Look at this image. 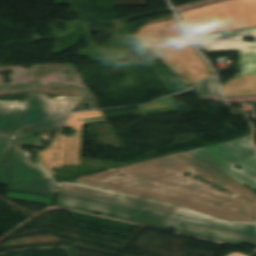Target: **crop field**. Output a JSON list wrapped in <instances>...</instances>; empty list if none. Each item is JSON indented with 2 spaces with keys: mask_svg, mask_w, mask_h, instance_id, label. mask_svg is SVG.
I'll return each mask as SVG.
<instances>
[{
  "mask_svg": "<svg viewBox=\"0 0 256 256\" xmlns=\"http://www.w3.org/2000/svg\"><path fill=\"white\" fill-rule=\"evenodd\" d=\"M55 205L85 211L89 213H99L102 214L103 216L118 218L153 227L175 229V232L214 239L238 246L245 244L256 247L255 237L225 231L221 229L211 228L207 226L171 220L149 214L83 201L79 199L69 198L65 196L58 195ZM182 223L185 224V226H181Z\"/></svg>",
  "mask_w": 256,
  "mask_h": 256,
  "instance_id": "f4fd0767",
  "label": "crop field"
},
{
  "mask_svg": "<svg viewBox=\"0 0 256 256\" xmlns=\"http://www.w3.org/2000/svg\"><path fill=\"white\" fill-rule=\"evenodd\" d=\"M190 37L256 27V0H228L179 13Z\"/></svg>",
  "mask_w": 256,
  "mask_h": 256,
  "instance_id": "e52e79f7",
  "label": "crop field"
},
{
  "mask_svg": "<svg viewBox=\"0 0 256 256\" xmlns=\"http://www.w3.org/2000/svg\"><path fill=\"white\" fill-rule=\"evenodd\" d=\"M7 198L10 199H18V200H25L43 204L51 205L53 203L54 197H47V196H37L31 194H24V193H17L8 191Z\"/></svg>",
  "mask_w": 256,
  "mask_h": 256,
  "instance_id": "cbeb9de0",
  "label": "crop field"
},
{
  "mask_svg": "<svg viewBox=\"0 0 256 256\" xmlns=\"http://www.w3.org/2000/svg\"><path fill=\"white\" fill-rule=\"evenodd\" d=\"M116 5H144V0H116Z\"/></svg>",
  "mask_w": 256,
  "mask_h": 256,
  "instance_id": "d9b57169",
  "label": "crop field"
},
{
  "mask_svg": "<svg viewBox=\"0 0 256 256\" xmlns=\"http://www.w3.org/2000/svg\"><path fill=\"white\" fill-rule=\"evenodd\" d=\"M224 145L228 147H225ZM201 150L234 169L249 180L239 176L240 174H236L234 171L223 166L200 150L190 151L239 183L247 185L252 189H256V150L250 140L246 138L236 139L227 143L201 148ZM252 162L254 164H252ZM236 165L243 167V169L238 170L233 168Z\"/></svg>",
  "mask_w": 256,
  "mask_h": 256,
  "instance_id": "d8731c3e",
  "label": "crop field"
},
{
  "mask_svg": "<svg viewBox=\"0 0 256 256\" xmlns=\"http://www.w3.org/2000/svg\"><path fill=\"white\" fill-rule=\"evenodd\" d=\"M116 173L115 171H119ZM191 175L183 177V173ZM125 175L120 177V175ZM199 176L233 196L191 177ZM77 183L175 204L222 220L256 224V194L186 152L77 179ZM156 188H151L150 186Z\"/></svg>",
  "mask_w": 256,
  "mask_h": 256,
  "instance_id": "8a807250",
  "label": "crop field"
},
{
  "mask_svg": "<svg viewBox=\"0 0 256 256\" xmlns=\"http://www.w3.org/2000/svg\"><path fill=\"white\" fill-rule=\"evenodd\" d=\"M11 137L12 136L0 135V184L4 185H7L8 183L11 164H5L2 163V161L4 160L14 140L17 139V137L10 139Z\"/></svg>",
  "mask_w": 256,
  "mask_h": 256,
  "instance_id": "d1516ede",
  "label": "crop field"
},
{
  "mask_svg": "<svg viewBox=\"0 0 256 256\" xmlns=\"http://www.w3.org/2000/svg\"><path fill=\"white\" fill-rule=\"evenodd\" d=\"M175 19V16H170V19L149 22L139 28L135 37L186 85L214 76L210 66L187 40Z\"/></svg>",
  "mask_w": 256,
  "mask_h": 256,
  "instance_id": "ac0d7876",
  "label": "crop field"
},
{
  "mask_svg": "<svg viewBox=\"0 0 256 256\" xmlns=\"http://www.w3.org/2000/svg\"><path fill=\"white\" fill-rule=\"evenodd\" d=\"M226 256H248V255H243L241 253H230V254H228Z\"/></svg>",
  "mask_w": 256,
  "mask_h": 256,
  "instance_id": "733c2abd",
  "label": "crop field"
},
{
  "mask_svg": "<svg viewBox=\"0 0 256 256\" xmlns=\"http://www.w3.org/2000/svg\"><path fill=\"white\" fill-rule=\"evenodd\" d=\"M29 157L21 146H14L7 156L5 162L13 163L9 190L55 196L59 184L54 174L41 160L35 164Z\"/></svg>",
  "mask_w": 256,
  "mask_h": 256,
  "instance_id": "5a996713",
  "label": "crop field"
},
{
  "mask_svg": "<svg viewBox=\"0 0 256 256\" xmlns=\"http://www.w3.org/2000/svg\"><path fill=\"white\" fill-rule=\"evenodd\" d=\"M68 196L153 213L211 227L256 235V225L222 221L175 205L130 196L85 185L61 182L58 192ZM173 210L175 212H173Z\"/></svg>",
  "mask_w": 256,
  "mask_h": 256,
  "instance_id": "34b2d1b8",
  "label": "crop field"
},
{
  "mask_svg": "<svg viewBox=\"0 0 256 256\" xmlns=\"http://www.w3.org/2000/svg\"><path fill=\"white\" fill-rule=\"evenodd\" d=\"M139 109L143 116L179 111L172 96L149 105L140 106Z\"/></svg>",
  "mask_w": 256,
  "mask_h": 256,
  "instance_id": "28ad6ade",
  "label": "crop field"
},
{
  "mask_svg": "<svg viewBox=\"0 0 256 256\" xmlns=\"http://www.w3.org/2000/svg\"><path fill=\"white\" fill-rule=\"evenodd\" d=\"M244 37H256V28L192 38L204 52L239 51L240 77L222 85L225 98L256 95V40Z\"/></svg>",
  "mask_w": 256,
  "mask_h": 256,
  "instance_id": "dd49c442",
  "label": "crop field"
},
{
  "mask_svg": "<svg viewBox=\"0 0 256 256\" xmlns=\"http://www.w3.org/2000/svg\"><path fill=\"white\" fill-rule=\"evenodd\" d=\"M33 131L47 133V134L57 133L52 131L25 129L20 139L16 141L15 145H23V146H30V147H46V146L40 145L42 141L33 136V133H31Z\"/></svg>",
  "mask_w": 256,
  "mask_h": 256,
  "instance_id": "22f410ed",
  "label": "crop field"
},
{
  "mask_svg": "<svg viewBox=\"0 0 256 256\" xmlns=\"http://www.w3.org/2000/svg\"><path fill=\"white\" fill-rule=\"evenodd\" d=\"M196 88L199 97L218 93L216 80L212 78L196 85Z\"/></svg>",
  "mask_w": 256,
  "mask_h": 256,
  "instance_id": "5142ce71",
  "label": "crop field"
},
{
  "mask_svg": "<svg viewBox=\"0 0 256 256\" xmlns=\"http://www.w3.org/2000/svg\"><path fill=\"white\" fill-rule=\"evenodd\" d=\"M78 119H80V121H78ZM105 122H107V120L101 110L75 113L66 124L67 127H73L76 130L75 137L68 138L64 135L56 136L48 149L37 152L38 158L49 168H63L64 166L80 165L83 125ZM81 130L82 132H80ZM60 158H62V160H60Z\"/></svg>",
  "mask_w": 256,
  "mask_h": 256,
  "instance_id": "3316defc",
  "label": "crop field"
},
{
  "mask_svg": "<svg viewBox=\"0 0 256 256\" xmlns=\"http://www.w3.org/2000/svg\"><path fill=\"white\" fill-rule=\"evenodd\" d=\"M79 100L30 93L23 103L0 102V134L19 136L25 128L58 131Z\"/></svg>",
  "mask_w": 256,
  "mask_h": 256,
  "instance_id": "412701ff",
  "label": "crop field"
}]
</instances>
